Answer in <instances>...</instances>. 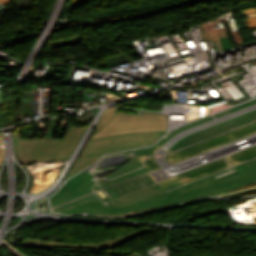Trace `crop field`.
<instances>
[{
    "label": "crop field",
    "mask_w": 256,
    "mask_h": 256,
    "mask_svg": "<svg viewBox=\"0 0 256 256\" xmlns=\"http://www.w3.org/2000/svg\"><path fill=\"white\" fill-rule=\"evenodd\" d=\"M86 128L71 127L63 140L21 139L22 127L14 134L16 155L23 164L69 158Z\"/></svg>",
    "instance_id": "obj_1"
},
{
    "label": "crop field",
    "mask_w": 256,
    "mask_h": 256,
    "mask_svg": "<svg viewBox=\"0 0 256 256\" xmlns=\"http://www.w3.org/2000/svg\"><path fill=\"white\" fill-rule=\"evenodd\" d=\"M165 132L166 131L138 132L89 139L83 153L81 154L80 158L75 162L73 168L66 176V178L96 162L99 156L102 154L152 144Z\"/></svg>",
    "instance_id": "obj_2"
},
{
    "label": "crop field",
    "mask_w": 256,
    "mask_h": 256,
    "mask_svg": "<svg viewBox=\"0 0 256 256\" xmlns=\"http://www.w3.org/2000/svg\"><path fill=\"white\" fill-rule=\"evenodd\" d=\"M166 128H168L166 115L163 114L146 111L142 116L116 113L92 138L138 131L166 130Z\"/></svg>",
    "instance_id": "obj_3"
},
{
    "label": "crop field",
    "mask_w": 256,
    "mask_h": 256,
    "mask_svg": "<svg viewBox=\"0 0 256 256\" xmlns=\"http://www.w3.org/2000/svg\"><path fill=\"white\" fill-rule=\"evenodd\" d=\"M152 231H155V230L144 228L137 232L121 235L110 240L95 242V243H85V244L48 242V241H41V240L32 239V238H26L25 243L38 245V246L74 247V248H82V249H110L112 247L119 246L138 235H142Z\"/></svg>",
    "instance_id": "obj_4"
},
{
    "label": "crop field",
    "mask_w": 256,
    "mask_h": 256,
    "mask_svg": "<svg viewBox=\"0 0 256 256\" xmlns=\"http://www.w3.org/2000/svg\"><path fill=\"white\" fill-rule=\"evenodd\" d=\"M115 109L116 108L105 110L95 128L100 129L113 116V114L115 113Z\"/></svg>",
    "instance_id": "obj_5"
},
{
    "label": "crop field",
    "mask_w": 256,
    "mask_h": 256,
    "mask_svg": "<svg viewBox=\"0 0 256 256\" xmlns=\"http://www.w3.org/2000/svg\"><path fill=\"white\" fill-rule=\"evenodd\" d=\"M3 158V150H2V147H1V136H0V162Z\"/></svg>",
    "instance_id": "obj_6"
},
{
    "label": "crop field",
    "mask_w": 256,
    "mask_h": 256,
    "mask_svg": "<svg viewBox=\"0 0 256 256\" xmlns=\"http://www.w3.org/2000/svg\"><path fill=\"white\" fill-rule=\"evenodd\" d=\"M9 1H11V0L3 1V2H1V4L3 5V4H5V3L9 2Z\"/></svg>",
    "instance_id": "obj_7"
},
{
    "label": "crop field",
    "mask_w": 256,
    "mask_h": 256,
    "mask_svg": "<svg viewBox=\"0 0 256 256\" xmlns=\"http://www.w3.org/2000/svg\"><path fill=\"white\" fill-rule=\"evenodd\" d=\"M3 1V0H0V2Z\"/></svg>",
    "instance_id": "obj_8"
}]
</instances>
